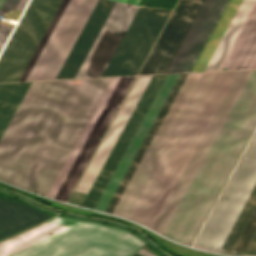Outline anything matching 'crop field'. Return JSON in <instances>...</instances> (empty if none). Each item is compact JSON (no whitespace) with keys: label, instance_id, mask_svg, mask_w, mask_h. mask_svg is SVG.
Listing matches in <instances>:
<instances>
[{"label":"crop field","instance_id":"obj_1","mask_svg":"<svg viewBox=\"0 0 256 256\" xmlns=\"http://www.w3.org/2000/svg\"><path fill=\"white\" fill-rule=\"evenodd\" d=\"M236 73L237 71L219 72L217 75L216 73L210 75L195 73L199 75L188 76L180 93L178 94L161 127L155 135L137 170L135 171L123 195L121 196L118 204L116 205L114 212L122 213L130 217L133 209L139 201L142 193L144 192L147 184L149 183L152 175L158 167L161 159L163 158L166 150L168 149L170 143L172 142L175 134L177 133L180 125L182 124L184 118L186 117L189 109L191 108L194 100L196 99L199 91L201 90L209 75L206 83L200 91L187 117L185 118L173 142L171 143L169 149L167 150L164 158L162 159L159 167L157 168L155 174L153 175L150 183L148 184L145 192L143 193L140 201L138 202L131 215V217L138 219L142 209L144 208L148 198L150 197L161 174L163 173L167 163L169 162L173 152L175 151L179 141L181 140L185 130L187 129L191 119L193 118L198 106L200 105L204 95L206 94L216 75L213 83L211 84L207 94L205 95L194 118L192 119L188 129L186 130L182 140L180 141L176 151L174 152L170 162L168 163L164 173L162 174L157 186L155 187L151 197L149 198L139 217V220L147 223L148 225H154L174 186L176 185L185 166L187 165L191 155L193 154L202 135L204 134L208 124L210 123L214 113L216 112L220 102L222 101L231 82L233 81ZM178 110L180 111L179 113L177 112ZM114 212L113 214L124 216ZM128 219L152 228L136 219Z\"/></svg>","mask_w":256,"mask_h":256},{"label":"crop field","instance_id":"obj_2","mask_svg":"<svg viewBox=\"0 0 256 256\" xmlns=\"http://www.w3.org/2000/svg\"><path fill=\"white\" fill-rule=\"evenodd\" d=\"M109 80L50 81L0 180L47 196Z\"/></svg>","mask_w":256,"mask_h":256},{"label":"crop field","instance_id":"obj_3","mask_svg":"<svg viewBox=\"0 0 256 256\" xmlns=\"http://www.w3.org/2000/svg\"><path fill=\"white\" fill-rule=\"evenodd\" d=\"M140 6L142 0H114ZM115 2L99 0L56 79L75 78ZM138 7L116 3L76 78L101 77ZM171 10L139 7L103 76L139 72ZM172 12V11H171Z\"/></svg>","mask_w":256,"mask_h":256},{"label":"crop field","instance_id":"obj_4","mask_svg":"<svg viewBox=\"0 0 256 256\" xmlns=\"http://www.w3.org/2000/svg\"><path fill=\"white\" fill-rule=\"evenodd\" d=\"M255 128L256 70H253L164 236L192 245Z\"/></svg>","mask_w":256,"mask_h":256},{"label":"crop field","instance_id":"obj_5","mask_svg":"<svg viewBox=\"0 0 256 256\" xmlns=\"http://www.w3.org/2000/svg\"><path fill=\"white\" fill-rule=\"evenodd\" d=\"M59 226V227L53 224ZM0 242V256H131L144 242L132 233L103 224L55 217Z\"/></svg>","mask_w":256,"mask_h":256},{"label":"crop field","instance_id":"obj_6","mask_svg":"<svg viewBox=\"0 0 256 256\" xmlns=\"http://www.w3.org/2000/svg\"><path fill=\"white\" fill-rule=\"evenodd\" d=\"M256 183V133L193 247L219 252ZM256 236V185L220 252L246 255Z\"/></svg>","mask_w":256,"mask_h":256},{"label":"crop field","instance_id":"obj_7","mask_svg":"<svg viewBox=\"0 0 256 256\" xmlns=\"http://www.w3.org/2000/svg\"><path fill=\"white\" fill-rule=\"evenodd\" d=\"M203 0H179L140 74L165 73ZM228 0H204L166 73L190 72Z\"/></svg>","mask_w":256,"mask_h":256},{"label":"crop field","instance_id":"obj_8","mask_svg":"<svg viewBox=\"0 0 256 256\" xmlns=\"http://www.w3.org/2000/svg\"><path fill=\"white\" fill-rule=\"evenodd\" d=\"M134 77L112 78L48 197L66 202Z\"/></svg>","mask_w":256,"mask_h":256},{"label":"crop field","instance_id":"obj_9","mask_svg":"<svg viewBox=\"0 0 256 256\" xmlns=\"http://www.w3.org/2000/svg\"><path fill=\"white\" fill-rule=\"evenodd\" d=\"M62 0H32L0 56V82L19 81Z\"/></svg>","mask_w":256,"mask_h":256},{"label":"crop field","instance_id":"obj_10","mask_svg":"<svg viewBox=\"0 0 256 256\" xmlns=\"http://www.w3.org/2000/svg\"><path fill=\"white\" fill-rule=\"evenodd\" d=\"M251 72L252 70L238 71L152 230L163 235Z\"/></svg>","mask_w":256,"mask_h":256},{"label":"crop field","instance_id":"obj_11","mask_svg":"<svg viewBox=\"0 0 256 256\" xmlns=\"http://www.w3.org/2000/svg\"><path fill=\"white\" fill-rule=\"evenodd\" d=\"M152 76H138L69 203L82 204Z\"/></svg>","mask_w":256,"mask_h":256},{"label":"crop field","instance_id":"obj_12","mask_svg":"<svg viewBox=\"0 0 256 256\" xmlns=\"http://www.w3.org/2000/svg\"><path fill=\"white\" fill-rule=\"evenodd\" d=\"M166 77L167 75L153 76L150 84L148 83L149 85L145 93L134 110L92 188L90 189L88 197L85 198L82 204L83 207L94 209L97 201L99 200L102 192L104 191Z\"/></svg>","mask_w":256,"mask_h":256},{"label":"crop field","instance_id":"obj_13","mask_svg":"<svg viewBox=\"0 0 256 256\" xmlns=\"http://www.w3.org/2000/svg\"><path fill=\"white\" fill-rule=\"evenodd\" d=\"M178 76L179 74L168 75L165 83L163 82L164 84L160 92L158 93L155 101L153 102L140 128L138 129L135 137L133 138L130 146L128 147L125 155L123 156L120 164L118 165L100 200L98 201L95 210L103 212L105 211L108 203L110 202L114 192L116 191L119 183L121 182L125 172L127 171L130 163L132 162L136 152L138 151L141 143L143 142L146 134L148 133L152 123L154 122L157 114L159 113L163 103L165 102ZM130 154L133 155L130 156Z\"/></svg>","mask_w":256,"mask_h":256},{"label":"crop field","instance_id":"obj_14","mask_svg":"<svg viewBox=\"0 0 256 256\" xmlns=\"http://www.w3.org/2000/svg\"><path fill=\"white\" fill-rule=\"evenodd\" d=\"M96 1H78L36 80L55 79Z\"/></svg>","mask_w":256,"mask_h":256},{"label":"crop field","instance_id":"obj_15","mask_svg":"<svg viewBox=\"0 0 256 256\" xmlns=\"http://www.w3.org/2000/svg\"><path fill=\"white\" fill-rule=\"evenodd\" d=\"M49 81L32 82L0 140V173L43 95Z\"/></svg>","mask_w":256,"mask_h":256},{"label":"crop field","instance_id":"obj_16","mask_svg":"<svg viewBox=\"0 0 256 256\" xmlns=\"http://www.w3.org/2000/svg\"><path fill=\"white\" fill-rule=\"evenodd\" d=\"M256 64V4L220 70L254 68Z\"/></svg>","mask_w":256,"mask_h":256},{"label":"crop field","instance_id":"obj_17","mask_svg":"<svg viewBox=\"0 0 256 256\" xmlns=\"http://www.w3.org/2000/svg\"><path fill=\"white\" fill-rule=\"evenodd\" d=\"M48 217L18 202L0 199V239Z\"/></svg>","mask_w":256,"mask_h":256},{"label":"crop field","instance_id":"obj_18","mask_svg":"<svg viewBox=\"0 0 256 256\" xmlns=\"http://www.w3.org/2000/svg\"><path fill=\"white\" fill-rule=\"evenodd\" d=\"M78 0H64L21 81L35 80Z\"/></svg>","mask_w":256,"mask_h":256},{"label":"crop field","instance_id":"obj_19","mask_svg":"<svg viewBox=\"0 0 256 256\" xmlns=\"http://www.w3.org/2000/svg\"><path fill=\"white\" fill-rule=\"evenodd\" d=\"M187 76H188V74H180V76H179V78H178L176 84L174 85V87H173V89H172L170 95L168 96V98H167V100H166L164 106L162 107V109H161L159 115L157 116V118H156V120H155L153 126L151 127V129H150V131H149L147 137L145 138V140H144V142H143L141 148L139 149V151H138V153H137L135 159L133 160V162H132V164H131L129 170L127 171V173H126L124 179L122 180V182H121V184H120L118 190L116 191V193H115V195H114L112 201L110 202V204H109V206H108L106 212L112 213V211H113V209H114L116 203L118 202L120 196L122 195V193H123L125 187L127 186V184H128V182H129L130 178L132 177V175H133L135 169L137 168L139 162L141 161V159H142L144 153L146 152V150H147L149 144L151 143V141H152L154 135L156 134V132H157L159 126L161 125V123H162L164 117L166 116V114H167L169 108L171 107L173 101L175 100V98H176L178 92L180 91V89H181L183 83L185 82Z\"/></svg>","mask_w":256,"mask_h":256},{"label":"crop field","instance_id":"obj_20","mask_svg":"<svg viewBox=\"0 0 256 256\" xmlns=\"http://www.w3.org/2000/svg\"><path fill=\"white\" fill-rule=\"evenodd\" d=\"M242 0H230L191 72L204 71Z\"/></svg>","mask_w":256,"mask_h":256},{"label":"crop field","instance_id":"obj_21","mask_svg":"<svg viewBox=\"0 0 256 256\" xmlns=\"http://www.w3.org/2000/svg\"><path fill=\"white\" fill-rule=\"evenodd\" d=\"M255 0H243L205 71L218 70Z\"/></svg>","mask_w":256,"mask_h":256},{"label":"crop field","instance_id":"obj_22","mask_svg":"<svg viewBox=\"0 0 256 256\" xmlns=\"http://www.w3.org/2000/svg\"><path fill=\"white\" fill-rule=\"evenodd\" d=\"M31 82L17 83L13 93L11 94L7 104L0 115V138L19 106L22 98L28 90Z\"/></svg>","mask_w":256,"mask_h":256},{"label":"crop field","instance_id":"obj_23","mask_svg":"<svg viewBox=\"0 0 256 256\" xmlns=\"http://www.w3.org/2000/svg\"><path fill=\"white\" fill-rule=\"evenodd\" d=\"M18 0H6L0 14H3L5 10H14ZM13 25L5 24L0 22V50L2 49L6 39L8 38Z\"/></svg>","mask_w":256,"mask_h":256},{"label":"crop field","instance_id":"obj_24","mask_svg":"<svg viewBox=\"0 0 256 256\" xmlns=\"http://www.w3.org/2000/svg\"><path fill=\"white\" fill-rule=\"evenodd\" d=\"M16 83L0 84V113L12 93Z\"/></svg>","mask_w":256,"mask_h":256},{"label":"crop field","instance_id":"obj_25","mask_svg":"<svg viewBox=\"0 0 256 256\" xmlns=\"http://www.w3.org/2000/svg\"><path fill=\"white\" fill-rule=\"evenodd\" d=\"M28 0H20L15 8V10H23L27 4Z\"/></svg>","mask_w":256,"mask_h":256},{"label":"crop field","instance_id":"obj_26","mask_svg":"<svg viewBox=\"0 0 256 256\" xmlns=\"http://www.w3.org/2000/svg\"><path fill=\"white\" fill-rule=\"evenodd\" d=\"M247 255H256V238H255L252 246L250 247Z\"/></svg>","mask_w":256,"mask_h":256},{"label":"crop field","instance_id":"obj_27","mask_svg":"<svg viewBox=\"0 0 256 256\" xmlns=\"http://www.w3.org/2000/svg\"><path fill=\"white\" fill-rule=\"evenodd\" d=\"M137 253H139V254H141L143 256H154V255H152V254H150V253H148V252H146V251H144L142 249L140 251H138Z\"/></svg>","mask_w":256,"mask_h":256},{"label":"crop field","instance_id":"obj_28","mask_svg":"<svg viewBox=\"0 0 256 256\" xmlns=\"http://www.w3.org/2000/svg\"><path fill=\"white\" fill-rule=\"evenodd\" d=\"M4 1H5V0H0V9H1V7H2Z\"/></svg>","mask_w":256,"mask_h":256},{"label":"crop field","instance_id":"obj_29","mask_svg":"<svg viewBox=\"0 0 256 256\" xmlns=\"http://www.w3.org/2000/svg\"><path fill=\"white\" fill-rule=\"evenodd\" d=\"M134 256H139V255L135 254Z\"/></svg>","mask_w":256,"mask_h":256},{"label":"crop field","instance_id":"obj_30","mask_svg":"<svg viewBox=\"0 0 256 256\" xmlns=\"http://www.w3.org/2000/svg\"><path fill=\"white\" fill-rule=\"evenodd\" d=\"M255 68H256V66H255Z\"/></svg>","mask_w":256,"mask_h":256}]
</instances>
